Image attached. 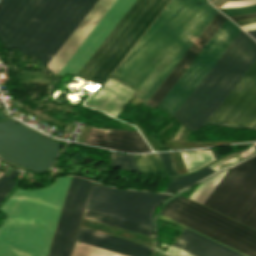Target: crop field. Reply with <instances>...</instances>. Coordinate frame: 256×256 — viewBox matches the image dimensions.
<instances>
[{
  "label": "crop field",
  "instance_id": "8a807250",
  "mask_svg": "<svg viewBox=\"0 0 256 256\" xmlns=\"http://www.w3.org/2000/svg\"><path fill=\"white\" fill-rule=\"evenodd\" d=\"M239 34L256 47L246 33ZM239 34L175 113L187 128L203 126L255 61L256 48ZM207 123L246 129L256 125V61Z\"/></svg>",
  "mask_w": 256,
  "mask_h": 256
},
{
  "label": "crop field",
  "instance_id": "ac0d7876",
  "mask_svg": "<svg viewBox=\"0 0 256 256\" xmlns=\"http://www.w3.org/2000/svg\"><path fill=\"white\" fill-rule=\"evenodd\" d=\"M212 6V5H211ZM206 0H172L112 75L145 103L216 15Z\"/></svg>",
  "mask_w": 256,
  "mask_h": 256
},
{
  "label": "crop field",
  "instance_id": "34b2d1b8",
  "mask_svg": "<svg viewBox=\"0 0 256 256\" xmlns=\"http://www.w3.org/2000/svg\"><path fill=\"white\" fill-rule=\"evenodd\" d=\"M96 1L2 0L0 40L46 65Z\"/></svg>",
  "mask_w": 256,
  "mask_h": 256
},
{
  "label": "crop field",
  "instance_id": "412701ff",
  "mask_svg": "<svg viewBox=\"0 0 256 256\" xmlns=\"http://www.w3.org/2000/svg\"><path fill=\"white\" fill-rule=\"evenodd\" d=\"M73 176L42 189L19 188L0 208V256H47Z\"/></svg>",
  "mask_w": 256,
  "mask_h": 256
},
{
  "label": "crop field",
  "instance_id": "f4fd0767",
  "mask_svg": "<svg viewBox=\"0 0 256 256\" xmlns=\"http://www.w3.org/2000/svg\"><path fill=\"white\" fill-rule=\"evenodd\" d=\"M168 196L95 183L86 209L152 228L154 212Z\"/></svg>",
  "mask_w": 256,
  "mask_h": 256
},
{
  "label": "crop field",
  "instance_id": "dd49c442",
  "mask_svg": "<svg viewBox=\"0 0 256 256\" xmlns=\"http://www.w3.org/2000/svg\"><path fill=\"white\" fill-rule=\"evenodd\" d=\"M256 204V156L230 169L204 205L242 222Z\"/></svg>",
  "mask_w": 256,
  "mask_h": 256
},
{
  "label": "crop field",
  "instance_id": "e52e79f7",
  "mask_svg": "<svg viewBox=\"0 0 256 256\" xmlns=\"http://www.w3.org/2000/svg\"><path fill=\"white\" fill-rule=\"evenodd\" d=\"M240 30L227 18L158 106L173 115Z\"/></svg>",
  "mask_w": 256,
  "mask_h": 256
},
{
  "label": "crop field",
  "instance_id": "d8731c3e",
  "mask_svg": "<svg viewBox=\"0 0 256 256\" xmlns=\"http://www.w3.org/2000/svg\"><path fill=\"white\" fill-rule=\"evenodd\" d=\"M134 2L135 0H117L59 71L58 75L63 76L66 72L76 75Z\"/></svg>",
  "mask_w": 256,
  "mask_h": 256
},
{
  "label": "crop field",
  "instance_id": "5a996713",
  "mask_svg": "<svg viewBox=\"0 0 256 256\" xmlns=\"http://www.w3.org/2000/svg\"><path fill=\"white\" fill-rule=\"evenodd\" d=\"M167 206L256 248V232L182 196L169 201Z\"/></svg>",
  "mask_w": 256,
  "mask_h": 256
},
{
  "label": "crop field",
  "instance_id": "3316defc",
  "mask_svg": "<svg viewBox=\"0 0 256 256\" xmlns=\"http://www.w3.org/2000/svg\"><path fill=\"white\" fill-rule=\"evenodd\" d=\"M153 0H136L77 76L90 80Z\"/></svg>",
  "mask_w": 256,
  "mask_h": 256
},
{
  "label": "crop field",
  "instance_id": "28ad6ade",
  "mask_svg": "<svg viewBox=\"0 0 256 256\" xmlns=\"http://www.w3.org/2000/svg\"><path fill=\"white\" fill-rule=\"evenodd\" d=\"M169 0H154L96 74L92 77L91 81L102 84L115 70L118 64L130 51L133 45L141 37L144 31L156 18L159 12L167 4Z\"/></svg>",
  "mask_w": 256,
  "mask_h": 256
},
{
  "label": "crop field",
  "instance_id": "d1516ede",
  "mask_svg": "<svg viewBox=\"0 0 256 256\" xmlns=\"http://www.w3.org/2000/svg\"><path fill=\"white\" fill-rule=\"evenodd\" d=\"M116 0H98L53 58L46 65L57 74Z\"/></svg>",
  "mask_w": 256,
  "mask_h": 256
},
{
  "label": "crop field",
  "instance_id": "22f410ed",
  "mask_svg": "<svg viewBox=\"0 0 256 256\" xmlns=\"http://www.w3.org/2000/svg\"><path fill=\"white\" fill-rule=\"evenodd\" d=\"M87 181L73 177L48 256H59L61 248L67 247Z\"/></svg>",
  "mask_w": 256,
  "mask_h": 256
},
{
  "label": "crop field",
  "instance_id": "cbeb9de0",
  "mask_svg": "<svg viewBox=\"0 0 256 256\" xmlns=\"http://www.w3.org/2000/svg\"><path fill=\"white\" fill-rule=\"evenodd\" d=\"M226 18L227 17H225L221 13H217V15L209 23L206 29L202 32V34L186 52L183 58L179 61V63L175 66V68L159 86L156 92L154 91L155 93L152 95V97L150 96L151 98L148 100V102L146 101V104L152 107L157 106L159 104V102L171 89L174 83L178 80V78L182 75V73L186 70V68L190 65V63L194 60V58L198 55V53L202 50V48L206 45V43L217 31V29L221 26V24L225 21Z\"/></svg>",
  "mask_w": 256,
  "mask_h": 256
},
{
  "label": "crop field",
  "instance_id": "5142ce71",
  "mask_svg": "<svg viewBox=\"0 0 256 256\" xmlns=\"http://www.w3.org/2000/svg\"><path fill=\"white\" fill-rule=\"evenodd\" d=\"M85 142L130 152L150 151L139 132L134 131L105 130L92 126Z\"/></svg>",
  "mask_w": 256,
  "mask_h": 256
},
{
  "label": "crop field",
  "instance_id": "d9b57169",
  "mask_svg": "<svg viewBox=\"0 0 256 256\" xmlns=\"http://www.w3.org/2000/svg\"><path fill=\"white\" fill-rule=\"evenodd\" d=\"M135 90L109 78L85 103L117 117Z\"/></svg>",
  "mask_w": 256,
  "mask_h": 256
},
{
  "label": "crop field",
  "instance_id": "733c2abd",
  "mask_svg": "<svg viewBox=\"0 0 256 256\" xmlns=\"http://www.w3.org/2000/svg\"><path fill=\"white\" fill-rule=\"evenodd\" d=\"M174 245L196 256H242L188 229L177 239ZM167 252L172 256H194L176 246Z\"/></svg>",
  "mask_w": 256,
  "mask_h": 256
},
{
  "label": "crop field",
  "instance_id": "4a817a6b",
  "mask_svg": "<svg viewBox=\"0 0 256 256\" xmlns=\"http://www.w3.org/2000/svg\"><path fill=\"white\" fill-rule=\"evenodd\" d=\"M162 214H164V215H166V216H168V217H170V218H172V219H174V220H176V221H178V222H180V223H182L186 226H189V227H191V228H193V229H195V230H197V231H199V232H201V233H203V234H205V235H207V236H209L213 239H216V240H218V241H220V242H222V243H224V244H226V245H228V246H230V247H232V248H234V249H236V250H238L242 253H245L249 256H256V249L251 248V247H249V246H247V245H245V244H243V243H241V242H239V241H237L233 238H230V237H228V236H226V235H224V234H222V233H220V232H218V231H216V230H214L210 227H207V226H205V225H203V224H201V223H199V222H197V221H195V220H193L189 217H186V216H184V215H182V214H180V213H178V212H176V211H174V210H172V209H170L166 206L164 207V209L162 211ZM162 214H160V218L173 221V222H175V223H177V224H179V225H181L185 228H188V229L206 237V238H209V237H207V236H205V235H203V234H201V233H199V232H197V231H195V230H193L189 227H186V226H184V225H182V224H180V223H178V222H176V221H174V220H172V219H170V218H168V217H166ZM211 238H209V239H211ZM213 239H211V240H213ZM213 241H215V240H213ZM218 241H215V242H217V243H219V244H221L225 247H228V246H226V245H224V244H222ZM230 247H228V248H230ZM232 248H230V249H232ZM234 249H232V250H234ZM236 250H234V251H236ZM238 251H236V252H238ZM240 252H238V253H240ZM242 253H240V254H242ZM245 254H242V255L247 256Z\"/></svg>",
  "mask_w": 256,
  "mask_h": 256
},
{
  "label": "crop field",
  "instance_id": "bc2a9ffb",
  "mask_svg": "<svg viewBox=\"0 0 256 256\" xmlns=\"http://www.w3.org/2000/svg\"><path fill=\"white\" fill-rule=\"evenodd\" d=\"M76 240L127 256H147L151 251V248L146 246L83 228L79 229Z\"/></svg>",
  "mask_w": 256,
  "mask_h": 256
},
{
  "label": "crop field",
  "instance_id": "214f88e0",
  "mask_svg": "<svg viewBox=\"0 0 256 256\" xmlns=\"http://www.w3.org/2000/svg\"><path fill=\"white\" fill-rule=\"evenodd\" d=\"M84 217L154 237L153 229H151V228H147L144 226H140V225L133 224V223L126 222L123 220H119V219H115L112 217H108V216L101 215V214L94 213V212L87 211V210L85 212Z\"/></svg>",
  "mask_w": 256,
  "mask_h": 256
},
{
  "label": "crop field",
  "instance_id": "92a150f3",
  "mask_svg": "<svg viewBox=\"0 0 256 256\" xmlns=\"http://www.w3.org/2000/svg\"><path fill=\"white\" fill-rule=\"evenodd\" d=\"M141 173H166L158 154L133 155Z\"/></svg>",
  "mask_w": 256,
  "mask_h": 256
},
{
  "label": "crop field",
  "instance_id": "dafd665d",
  "mask_svg": "<svg viewBox=\"0 0 256 256\" xmlns=\"http://www.w3.org/2000/svg\"><path fill=\"white\" fill-rule=\"evenodd\" d=\"M216 170L211 169L209 167H206L200 171H197L193 174L190 175H186V176H182V177H178V178H174L171 179L169 185L167 186L165 192L168 193H174L176 191H179L185 187H187L188 185L198 181L199 179L215 172Z\"/></svg>",
  "mask_w": 256,
  "mask_h": 256
},
{
  "label": "crop field",
  "instance_id": "00972430",
  "mask_svg": "<svg viewBox=\"0 0 256 256\" xmlns=\"http://www.w3.org/2000/svg\"><path fill=\"white\" fill-rule=\"evenodd\" d=\"M180 153L189 172L213 160L209 150L184 151Z\"/></svg>",
  "mask_w": 256,
  "mask_h": 256
},
{
  "label": "crop field",
  "instance_id": "a9b5d70f",
  "mask_svg": "<svg viewBox=\"0 0 256 256\" xmlns=\"http://www.w3.org/2000/svg\"><path fill=\"white\" fill-rule=\"evenodd\" d=\"M71 256H124L81 242H75Z\"/></svg>",
  "mask_w": 256,
  "mask_h": 256
},
{
  "label": "crop field",
  "instance_id": "4177f3b9",
  "mask_svg": "<svg viewBox=\"0 0 256 256\" xmlns=\"http://www.w3.org/2000/svg\"><path fill=\"white\" fill-rule=\"evenodd\" d=\"M109 153L111 159V163L109 164L110 166L139 172L132 155L118 154L112 151H109Z\"/></svg>",
  "mask_w": 256,
  "mask_h": 256
},
{
  "label": "crop field",
  "instance_id": "730fd06b",
  "mask_svg": "<svg viewBox=\"0 0 256 256\" xmlns=\"http://www.w3.org/2000/svg\"><path fill=\"white\" fill-rule=\"evenodd\" d=\"M92 184H93V182L88 181V184H87V187L85 190V194H84V197H83V200H82L79 212H78V216H77V219H76V222H75L72 234H71V238H70V241H69V244H68V247H67V250H66L64 256H70L72 246H73V243H74V240H75V237H76L79 225H80V221H81V218H82V215H83V212H84V209H85L88 197H89V193H90Z\"/></svg>",
  "mask_w": 256,
  "mask_h": 256
},
{
  "label": "crop field",
  "instance_id": "eef30255",
  "mask_svg": "<svg viewBox=\"0 0 256 256\" xmlns=\"http://www.w3.org/2000/svg\"><path fill=\"white\" fill-rule=\"evenodd\" d=\"M18 173L19 171L13 170L8 177L5 175H2L0 177V202L14 186L15 182H13L12 180L16 177Z\"/></svg>",
  "mask_w": 256,
  "mask_h": 256
},
{
  "label": "crop field",
  "instance_id": "ae1a2a85",
  "mask_svg": "<svg viewBox=\"0 0 256 256\" xmlns=\"http://www.w3.org/2000/svg\"><path fill=\"white\" fill-rule=\"evenodd\" d=\"M219 10L222 11L227 16L247 14V13L256 12V5L249 6V7L225 8V9H219Z\"/></svg>",
  "mask_w": 256,
  "mask_h": 256
},
{
  "label": "crop field",
  "instance_id": "d3111659",
  "mask_svg": "<svg viewBox=\"0 0 256 256\" xmlns=\"http://www.w3.org/2000/svg\"><path fill=\"white\" fill-rule=\"evenodd\" d=\"M168 174H178L168 153L159 154Z\"/></svg>",
  "mask_w": 256,
  "mask_h": 256
},
{
  "label": "crop field",
  "instance_id": "750c4746",
  "mask_svg": "<svg viewBox=\"0 0 256 256\" xmlns=\"http://www.w3.org/2000/svg\"><path fill=\"white\" fill-rule=\"evenodd\" d=\"M251 17H256V13L248 14V15L232 16L229 18H231L233 21H236V20H241V19H246V18H251Z\"/></svg>",
  "mask_w": 256,
  "mask_h": 256
},
{
  "label": "crop field",
  "instance_id": "bd1437ed",
  "mask_svg": "<svg viewBox=\"0 0 256 256\" xmlns=\"http://www.w3.org/2000/svg\"><path fill=\"white\" fill-rule=\"evenodd\" d=\"M255 22H256V18H251V19L236 21L235 23L238 26H241V25L251 24V23H255Z\"/></svg>",
  "mask_w": 256,
  "mask_h": 256
},
{
  "label": "crop field",
  "instance_id": "1d83c4d3",
  "mask_svg": "<svg viewBox=\"0 0 256 256\" xmlns=\"http://www.w3.org/2000/svg\"><path fill=\"white\" fill-rule=\"evenodd\" d=\"M247 226L256 230V214L253 216V218L250 220Z\"/></svg>",
  "mask_w": 256,
  "mask_h": 256
},
{
  "label": "crop field",
  "instance_id": "120bbe31",
  "mask_svg": "<svg viewBox=\"0 0 256 256\" xmlns=\"http://www.w3.org/2000/svg\"><path fill=\"white\" fill-rule=\"evenodd\" d=\"M256 212V206L253 208V210L250 212V214L247 216V218L244 220L243 224H247V222L250 220V218L253 216V214Z\"/></svg>",
  "mask_w": 256,
  "mask_h": 256
},
{
  "label": "crop field",
  "instance_id": "d32e631a",
  "mask_svg": "<svg viewBox=\"0 0 256 256\" xmlns=\"http://www.w3.org/2000/svg\"><path fill=\"white\" fill-rule=\"evenodd\" d=\"M241 28L245 31L256 29V24L241 26Z\"/></svg>",
  "mask_w": 256,
  "mask_h": 256
},
{
  "label": "crop field",
  "instance_id": "5866460e",
  "mask_svg": "<svg viewBox=\"0 0 256 256\" xmlns=\"http://www.w3.org/2000/svg\"><path fill=\"white\" fill-rule=\"evenodd\" d=\"M212 151H213L214 156H215L216 159L219 158V157H221L220 148L214 149V150H212Z\"/></svg>",
  "mask_w": 256,
  "mask_h": 256
},
{
  "label": "crop field",
  "instance_id": "028f5c9d",
  "mask_svg": "<svg viewBox=\"0 0 256 256\" xmlns=\"http://www.w3.org/2000/svg\"><path fill=\"white\" fill-rule=\"evenodd\" d=\"M182 130H183V127H182V126H180V128H179L178 132L176 133V135H175L174 139H178V138H179V136H180V134H181Z\"/></svg>",
  "mask_w": 256,
  "mask_h": 256
},
{
  "label": "crop field",
  "instance_id": "e1f06a70",
  "mask_svg": "<svg viewBox=\"0 0 256 256\" xmlns=\"http://www.w3.org/2000/svg\"><path fill=\"white\" fill-rule=\"evenodd\" d=\"M228 0H221L219 3H217L216 5H214L216 8L220 7L221 5H223L224 3H226Z\"/></svg>",
  "mask_w": 256,
  "mask_h": 256
},
{
  "label": "crop field",
  "instance_id": "0bd39190",
  "mask_svg": "<svg viewBox=\"0 0 256 256\" xmlns=\"http://www.w3.org/2000/svg\"><path fill=\"white\" fill-rule=\"evenodd\" d=\"M248 34H250L254 39H256V30L248 31Z\"/></svg>",
  "mask_w": 256,
  "mask_h": 256
},
{
  "label": "crop field",
  "instance_id": "b80d0937",
  "mask_svg": "<svg viewBox=\"0 0 256 256\" xmlns=\"http://www.w3.org/2000/svg\"><path fill=\"white\" fill-rule=\"evenodd\" d=\"M155 256H167V255H165V254H163V253L157 251Z\"/></svg>",
  "mask_w": 256,
  "mask_h": 256
},
{
  "label": "crop field",
  "instance_id": "c035e120",
  "mask_svg": "<svg viewBox=\"0 0 256 256\" xmlns=\"http://www.w3.org/2000/svg\"><path fill=\"white\" fill-rule=\"evenodd\" d=\"M65 250H66V249H62V250H61L60 256H63V255H64Z\"/></svg>",
  "mask_w": 256,
  "mask_h": 256
}]
</instances>
